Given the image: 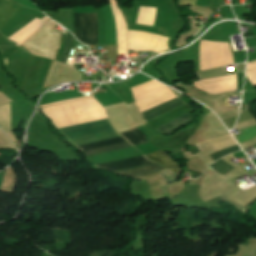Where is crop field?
<instances>
[{
	"instance_id": "crop-field-9",
	"label": "crop field",
	"mask_w": 256,
	"mask_h": 256,
	"mask_svg": "<svg viewBox=\"0 0 256 256\" xmlns=\"http://www.w3.org/2000/svg\"><path fill=\"white\" fill-rule=\"evenodd\" d=\"M165 167L159 166L155 163L141 166V167H136L128 170H122V171H115L114 173H117L119 175L131 177V178H138L146 175H150L153 173L160 172L162 170H165Z\"/></svg>"
},
{
	"instance_id": "crop-field-4",
	"label": "crop field",
	"mask_w": 256,
	"mask_h": 256,
	"mask_svg": "<svg viewBox=\"0 0 256 256\" xmlns=\"http://www.w3.org/2000/svg\"><path fill=\"white\" fill-rule=\"evenodd\" d=\"M75 36L83 43L98 44L96 12H74Z\"/></svg>"
},
{
	"instance_id": "crop-field-2",
	"label": "crop field",
	"mask_w": 256,
	"mask_h": 256,
	"mask_svg": "<svg viewBox=\"0 0 256 256\" xmlns=\"http://www.w3.org/2000/svg\"><path fill=\"white\" fill-rule=\"evenodd\" d=\"M59 132L74 146L120 136L108 119L60 129Z\"/></svg>"
},
{
	"instance_id": "crop-field-6",
	"label": "crop field",
	"mask_w": 256,
	"mask_h": 256,
	"mask_svg": "<svg viewBox=\"0 0 256 256\" xmlns=\"http://www.w3.org/2000/svg\"><path fill=\"white\" fill-rule=\"evenodd\" d=\"M198 83L202 84L207 92L213 94L237 90L236 74L220 78L199 80Z\"/></svg>"
},
{
	"instance_id": "crop-field-1",
	"label": "crop field",
	"mask_w": 256,
	"mask_h": 256,
	"mask_svg": "<svg viewBox=\"0 0 256 256\" xmlns=\"http://www.w3.org/2000/svg\"><path fill=\"white\" fill-rule=\"evenodd\" d=\"M58 129L107 118L103 107L94 99H85L42 109Z\"/></svg>"
},
{
	"instance_id": "crop-field-14",
	"label": "crop field",
	"mask_w": 256,
	"mask_h": 256,
	"mask_svg": "<svg viewBox=\"0 0 256 256\" xmlns=\"http://www.w3.org/2000/svg\"><path fill=\"white\" fill-rule=\"evenodd\" d=\"M193 111H195V109ZM193 111H191V112H193ZM191 112H189V113H191ZM189 113L157 128L156 130L162 132L163 134H171L172 132L177 130L179 127L184 126L186 123L192 122L191 121L192 115H190Z\"/></svg>"
},
{
	"instance_id": "crop-field-23",
	"label": "crop field",
	"mask_w": 256,
	"mask_h": 256,
	"mask_svg": "<svg viewBox=\"0 0 256 256\" xmlns=\"http://www.w3.org/2000/svg\"><path fill=\"white\" fill-rule=\"evenodd\" d=\"M162 176L167 181V185L176 182V175L169 170L161 172Z\"/></svg>"
},
{
	"instance_id": "crop-field-25",
	"label": "crop field",
	"mask_w": 256,
	"mask_h": 256,
	"mask_svg": "<svg viewBox=\"0 0 256 256\" xmlns=\"http://www.w3.org/2000/svg\"><path fill=\"white\" fill-rule=\"evenodd\" d=\"M90 97H93V96L90 95V96H85V97H80V98H75V99H70V100H65V101L50 103V104H46V105H44V106H41V108L48 107V106H52V105H57V104H61V103H65V102H69V101H73V100L84 99V98H90Z\"/></svg>"
},
{
	"instance_id": "crop-field-10",
	"label": "crop field",
	"mask_w": 256,
	"mask_h": 256,
	"mask_svg": "<svg viewBox=\"0 0 256 256\" xmlns=\"http://www.w3.org/2000/svg\"><path fill=\"white\" fill-rule=\"evenodd\" d=\"M183 104H185L183 101L176 98V99H174L172 101H169L165 104H162V105H160L156 108H153L149 111H146V112L142 113L141 115H142V117H143V119L146 123V122H148V121H150V120H152V119H154V118H156V117H158V116H160V115H162V114H164L168 111H171V110H173V109H175V108H177V107H179Z\"/></svg>"
},
{
	"instance_id": "crop-field-12",
	"label": "crop field",
	"mask_w": 256,
	"mask_h": 256,
	"mask_svg": "<svg viewBox=\"0 0 256 256\" xmlns=\"http://www.w3.org/2000/svg\"><path fill=\"white\" fill-rule=\"evenodd\" d=\"M190 110H192V108L189 107L187 104H185V105H183V106H181V107H179V108H177V109H175L171 112H168V113H166V114H164V115H162V116H160V117H158V118H156V119H154V120H152V121H150L146 124L155 129V128L173 120L174 118H176V117H178V116H180V115H182V114H184V113H186Z\"/></svg>"
},
{
	"instance_id": "crop-field-13",
	"label": "crop field",
	"mask_w": 256,
	"mask_h": 256,
	"mask_svg": "<svg viewBox=\"0 0 256 256\" xmlns=\"http://www.w3.org/2000/svg\"><path fill=\"white\" fill-rule=\"evenodd\" d=\"M197 147L200 149V151L214 145L215 147H217L219 150L228 148L230 146L236 145L235 141L232 139V137L230 136V134L228 135H224L221 137H217L211 140H207L201 143L196 144Z\"/></svg>"
},
{
	"instance_id": "crop-field-11",
	"label": "crop field",
	"mask_w": 256,
	"mask_h": 256,
	"mask_svg": "<svg viewBox=\"0 0 256 256\" xmlns=\"http://www.w3.org/2000/svg\"><path fill=\"white\" fill-rule=\"evenodd\" d=\"M146 155L148 157H150L152 160H154L155 162L163 164V165L171 168L178 175V177L181 174V172H182L181 167L167 153L159 150V151L152 152V153H149Z\"/></svg>"
},
{
	"instance_id": "crop-field-3",
	"label": "crop field",
	"mask_w": 256,
	"mask_h": 256,
	"mask_svg": "<svg viewBox=\"0 0 256 256\" xmlns=\"http://www.w3.org/2000/svg\"><path fill=\"white\" fill-rule=\"evenodd\" d=\"M140 113L176 98L166 86L152 80L131 89Z\"/></svg>"
},
{
	"instance_id": "crop-field-20",
	"label": "crop field",
	"mask_w": 256,
	"mask_h": 256,
	"mask_svg": "<svg viewBox=\"0 0 256 256\" xmlns=\"http://www.w3.org/2000/svg\"><path fill=\"white\" fill-rule=\"evenodd\" d=\"M242 131L246 136L236 138L240 144L256 137V126L242 129Z\"/></svg>"
},
{
	"instance_id": "crop-field-7",
	"label": "crop field",
	"mask_w": 256,
	"mask_h": 256,
	"mask_svg": "<svg viewBox=\"0 0 256 256\" xmlns=\"http://www.w3.org/2000/svg\"><path fill=\"white\" fill-rule=\"evenodd\" d=\"M117 26L118 54L127 55V30L126 21L120 11L118 4H111Z\"/></svg>"
},
{
	"instance_id": "crop-field-18",
	"label": "crop field",
	"mask_w": 256,
	"mask_h": 256,
	"mask_svg": "<svg viewBox=\"0 0 256 256\" xmlns=\"http://www.w3.org/2000/svg\"><path fill=\"white\" fill-rule=\"evenodd\" d=\"M126 139L119 137V138H114V139H109V140H104V141H99V142H94V143H89L81 146H77L81 151L88 150V149H93L101 146H106V145H111L115 143H120V142H125Z\"/></svg>"
},
{
	"instance_id": "crop-field-15",
	"label": "crop field",
	"mask_w": 256,
	"mask_h": 256,
	"mask_svg": "<svg viewBox=\"0 0 256 256\" xmlns=\"http://www.w3.org/2000/svg\"><path fill=\"white\" fill-rule=\"evenodd\" d=\"M155 12L156 8L140 7L137 23L153 26Z\"/></svg>"
},
{
	"instance_id": "crop-field-19",
	"label": "crop field",
	"mask_w": 256,
	"mask_h": 256,
	"mask_svg": "<svg viewBox=\"0 0 256 256\" xmlns=\"http://www.w3.org/2000/svg\"><path fill=\"white\" fill-rule=\"evenodd\" d=\"M210 167L217 170L218 172H220L223 175L226 174L228 171H230L232 168H234L221 159L219 161L215 162L214 164H212Z\"/></svg>"
},
{
	"instance_id": "crop-field-16",
	"label": "crop field",
	"mask_w": 256,
	"mask_h": 256,
	"mask_svg": "<svg viewBox=\"0 0 256 256\" xmlns=\"http://www.w3.org/2000/svg\"><path fill=\"white\" fill-rule=\"evenodd\" d=\"M124 137H126L130 143H132L134 146L148 143V141L145 139L144 135L140 132L138 128L121 133Z\"/></svg>"
},
{
	"instance_id": "crop-field-21",
	"label": "crop field",
	"mask_w": 256,
	"mask_h": 256,
	"mask_svg": "<svg viewBox=\"0 0 256 256\" xmlns=\"http://www.w3.org/2000/svg\"><path fill=\"white\" fill-rule=\"evenodd\" d=\"M238 150H241V149L239 148L238 145H236V146L230 147L228 149H225V150H222V151H218V152H216V153H214V154H212L210 156H211V158L214 161H216V160L220 159L221 157H223L224 155L234 153V152H236Z\"/></svg>"
},
{
	"instance_id": "crop-field-26",
	"label": "crop field",
	"mask_w": 256,
	"mask_h": 256,
	"mask_svg": "<svg viewBox=\"0 0 256 256\" xmlns=\"http://www.w3.org/2000/svg\"><path fill=\"white\" fill-rule=\"evenodd\" d=\"M0 88H2V86L0 85Z\"/></svg>"
},
{
	"instance_id": "crop-field-8",
	"label": "crop field",
	"mask_w": 256,
	"mask_h": 256,
	"mask_svg": "<svg viewBox=\"0 0 256 256\" xmlns=\"http://www.w3.org/2000/svg\"><path fill=\"white\" fill-rule=\"evenodd\" d=\"M152 163V161L144 155L128 158L120 161L110 162L106 164L97 165L98 167L104 168L106 170L114 171L121 169H128L144 164Z\"/></svg>"
},
{
	"instance_id": "crop-field-5",
	"label": "crop field",
	"mask_w": 256,
	"mask_h": 256,
	"mask_svg": "<svg viewBox=\"0 0 256 256\" xmlns=\"http://www.w3.org/2000/svg\"><path fill=\"white\" fill-rule=\"evenodd\" d=\"M129 50L155 52L168 49L166 37H161L141 31H128Z\"/></svg>"
},
{
	"instance_id": "crop-field-22",
	"label": "crop field",
	"mask_w": 256,
	"mask_h": 256,
	"mask_svg": "<svg viewBox=\"0 0 256 256\" xmlns=\"http://www.w3.org/2000/svg\"><path fill=\"white\" fill-rule=\"evenodd\" d=\"M72 44H73V38L67 32L66 50H65L64 57H63V61H62L65 64H67V61L69 59L70 51L72 49Z\"/></svg>"
},
{
	"instance_id": "crop-field-24",
	"label": "crop field",
	"mask_w": 256,
	"mask_h": 256,
	"mask_svg": "<svg viewBox=\"0 0 256 256\" xmlns=\"http://www.w3.org/2000/svg\"><path fill=\"white\" fill-rule=\"evenodd\" d=\"M246 76L252 82V84L255 86L256 85V69L248 71Z\"/></svg>"
},
{
	"instance_id": "crop-field-17",
	"label": "crop field",
	"mask_w": 256,
	"mask_h": 256,
	"mask_svg": "<svg viewBox=\"0 0 256 256\" xmlns=\"http://www.w3.org/2000/svg\"><path fill=\"white\" fill-rule=\"evenodd\" d=\"M127 147H133V146L131 144H129L128 142H125V143H120V144H116V145H111V146H106V147H101V148H97V149H93V150L84 151V153L86 156H91V155L114 151V150L123 149V148H127Z\"/></svg>"
}]
</instances>
